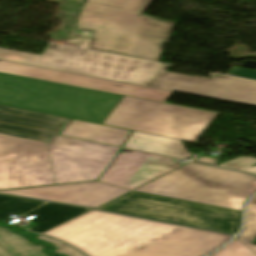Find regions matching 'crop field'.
<instances>
[{"mask_svg": "<svg viewBox=\"0 0 256 256\" xmlns=\"http://www.w3.org/2000/svg\"><path fill=\"white\" fill-rule=\"evenodd\" d=\"M44 235L88 256H203L232 237L96 210Z\"/></svg>", "mask_w": 256, "mask_h": 256, "instance_id": "8a807250", "label": "crop field"}, {"mask_svg": "<svg viewBox=\"0 0 256 256\" xmlns=\"http://www.w3.org/2000/svg\"><path fill=\"white\" fill-rule=\"evenodd\" d=\"M153 0H88L76 30L93 32L86 48L158 61L173 22L141 15Z\"/></svg>", "mask_w": 256, "mask_h": 256, "instance_id": "ac0d7876", "label": "crop field"}, {"mask_svg": "<svg viewBox=\"0 0 256 256\" xmlns=\"http://www.w3.org/2000/svg\"><path fill=\"white\" fill-rule=\"evenodd\" d=\"M121 95L0 73V104L101 124Z\"/></svg>", "mask_w": 256, "mask_h": 256, "instance_id": "34b2d1b8", "label": "crop field"}, {"mask_svg": "<svg viewBox=\"0 0 256 256\" xmlns=\"http://www.w3.org/2000/svg\"><path fill=\"white\" fill-rule=\"evenodd\" d=\"M134 191L242 210L256 193V177L190 163Z\"/></svg>", "mask_w": 256, "mask_h": 256, "instance_id": "412701ff", "label": "crop field"}, {"mask_svg": "<svg viewBox=\"0 0 256 256\" xmlns=\"http://www.w3.org/2000/svg\"><path fill=\"white\" fill-rule=\"evenodd\" d=\"M0 59L150 88L165 67L164 64L82 49L73 53L47 48L42 56L0 49Z\"/></svg>", "mask_w": 256, "mask_h": 256, "instance_id": "f4fd0767", "label": "crop field"}, {"mask_svg": "<svg viewBox=\"0 0 256 256\" xmlns=\"http://www.w3.org/2000/svg\"><path fill=\"white\" fill-rule=\"evenodd\" d=\"M216 115L123 96L103 124L194 142Z\"/></svg>", "mask_w": 256, "mask_h": 256, "instance_id": "dd49c442", "label": "crop field"}, {"mask_svg": "<svg viewBox=\"0 0 256 256\" xmlns=\"http://www.w3.org/2000/svg\"><path fill=\"white\" fill-rule=\"evenodd\" d=\"M98 209L231 234L237 233L241 219V211L212 207L134 191Z\"/></svg>", "mask_w": 256, "mask_h": 256, "instance_id": "e52e79f7", "label": "crop field"}, {"mask_svg": "<svg viewBox=\"0 0 256 256\" xmlns=\"http://www.w3.org/2000/svg\"><path fill=\"white\" fill-rule=\"evenodd\" d=\"M51 184L47 145L0 135V189Z\"/></svg>", "mask_w": 256, "mask_h": 256, "instance_id": "d8731c3e", "label": "crop field"}, {"mask_svg": "<svg viewBox=\"0 0 256 256\" xmlns=\"http://www.w3.org/2000/svg\"><path fill=\"white\" fill-rule=\"evenodd\" d=\"M48 147L56 184L96 180L119 150L62 136Z\"/></svg>", "mask_w": 256, "mask_h": 256, "instance_id": "5a996713", "label": "crop field"}, {"mask_svg": "<svg viewBox=\"0 0 256 256\" xmlns=\"http://www.w3.org/2000/svg\"><path fill=\"white\" fill-rule=\"evenodd\" d=\"M154 88L256 106V82L233 77L163 72Z\"/></svg>", "mask_w": 256, "mask_h": 256, "instance_id": "3316defc", "label": "crop field"}, {"mask_svg": "<svg viewBox=\"0 0 256 256\" xmlns=\"http://www.w3.org/2000/svg\"><path fill=\"white\" fill-rule=\"evenodd\" d=\"M0 72L162 102H165L171 94L170 91L150 89L134 84L107 81L79 74L1 60Z\"/></svg>", "mask_w": 256, "mask_h": 256, "instance_id": "28ad6ade", "label": "crop field"}, {"mask_svg": "<svg viewBox=\"0 0 256 256\" xmlns=\"http://www.w3.org/2000/svg\"><path fill=\"white\" fill-rule=\"evenodd\" d=\"M173 158L134 151L119 153L113 165L98 182L133 190L181 166Z\"/></svg>", "mask_w": 256, "mask_h": 256, "instance_id": "d1516ede", "label": "crop field"}, {"mask_svg": "<svg viewBox=\"0 0 256 256\" xmlns=\"http://www.w3.org/2000/svg\"><path fill=\"white\" fill-rule=\"evenodd\" d=\"M128 191L97 182H87L63 186L0 191V193L97 208Z\"/></svg>", "mask_w": 256, "mask_h": 256, "instance_id": "22f410ed", "label": "crop field"}, {"mask_svg": "<svg viewBox=\"0 0 256 256\" xmlns=\"http://www.w3.org/2000/svg\"><path fill=\"white\" fill-rule=\"evenodd\" d=\"M69 118L0 105V134L50 143Z\"/></svg>", "mask_w": 256, "mask_h": 256, "instance_id": "cbeb9de0", "label": "crop field"}, {"mask_svg": "<svg viewBox=\"0 0 256 256\" xmlns=\"http://www.w3.org/2000/svg\"><path fill=\"white\" fill-rule=\"evenodd\" d=\"M129 132L114 127L73 120L60 135L121 147Z\"/></svg>", "mask_w": 256, "mask_h": 256, "instance_id": "5142ce71", "label": "crop field"}, {"mask_svg": "<svg viewBox=\"0 0 256 256\" xmlns=\"http://www.w3.org/2000/svg\"><path fill=\"white\" fill-rule=\"evenodd\" d=\"M125 148L142 150L179 159L191 157L180 140L133 131Z\"/></svg>", "mask_w": 256, "mask_h": 256, "instance_id": "d9b57169", "label": "crop field"}, {"mask_svg": "<svg viewBox=\"0 0 256 256\" xmlns=\"http://www.w3.org/2000/svg\"><path fill=\"white\" fill-rule=\"evenodd\" d=\"M86 211H88V209L48 203L25 214L24 216L29 217L33 214L37 215L30 220L37 223L38 225L28 230L36 233H42Z\"/></svg>", "mask_w": 256, "mask_h": 256, "instance_id": "733c2abd", "label": "crop field"}, {"mask_svg": "<svg viewBox=\"0 0 256 256\" xmlns=\"http://www.w3.org/2000/svg\"><path fill=\"white\" fill-rule=\"evenodd\" d=\"M0 245L12 256H46L42 246L30 244L22 237L0 227Z\"/></svg>", "mask_w": 256, "mask_h": 256, "instance_id": "4a817a6b", "label": "crop field"}, {"mask_svg": "<svg viewBox=\"0 0 256 256\" xmlns=\"http://www.w3.org/2000/svg\"><path fill=\"white\" fill-rule=\"evenodd\" d=\"M45 202L0 195V221L6 223L10 215H20Z\"/></svg>", "mask_w": 256, "mask_h": 256, "instance_id": "bc2a9ffb", "label": "crop field"}, {"mask_svg": "<svg viewBox=\"0 0 256 256\" xmlns=\"http://www.w3.org/2000/svg\"><path fill=\"white\" fill-rule=\"evenodd\" d=\"M239 236L250 242L256 238V197L248 205L245 228Z\"/></svg>", "mask_w": 256, "mask_h": 256, "instance_id": "214f88e0", "label": "crop field"}, {"mask_svg": "<svg viewBox=\"0 0 256 256\" xmlns=\"http://www.w3.org/2000/svg\"><path fill=\"white\" fill-rule=\"evenodd\" d=\"M221 167H228L232 169L242 170L244 172L252 173L256 171V159L251 157L239 156L221 165Z\"/></svg>", "mask_w": 256, "mask_h": 256, "instance_id": "92a150f3", "label": "crop field"}, {"mask_svg": "<svg viewBox=\"0 0 256 256\" xmlns=\"http://www.w3.org/2000/svg\"><path fill=\"white\" fill-rule=\"evenodd\" d=\"M211 256H256L236 239Z\"/></svg>", "mask_w": 256, "mask_h": 256, "instance_id": "dafd665d", "label": "crop field"}, {"mask_svg": "<svg viewBox=\"0 0 256 256\" xmlns=\"http://www.w3.org/2000/svg\"><path fill=\"white\" fill-rule=\"evenodd\" d=\"M38 239L44 240L46 242H50L52 243L55 247H57L58 249L55 251L58 254H63L66 256H84L83 254L79 253L78 251H76L75 249L60 243L56 240L50 239V238H46L43 237L41 235L37 236Z\"/></svg>", "mask_w": 256, "mask_h": 256, "instance_id": "00972430", "label": "crop field"}, {"mask_svg": "<svg viewBox=\"0 0 256 256\" xmlns=\"http://www.w3.org/2000/svg\"><path fill=\"white\" fill-rule=\"evenodd\" d=\"M228 74L256 80V70L234 67Z\"/></svg>", "mask_w": 256, "mask_h": 256, "instance_id": "a9b5d70f", "label": "crop field"}, {"mask_svg": "<svg viewBox=\"0 0 256 256\" xmlns=\"http://www.w3.org/2000/svg\"><path fill=\"white\" fill-rule=\"evenodd\" d=\"M50 48H56V49H62V50H67V51H73L76 52L78 49L77 48H71V47H66V46H60L56 44H51L49 46Z\"/></svg>", "mask_w": 256, "mask_h": 256, "instance_id": "4177f3b9", "label": "crop field"}, {"mask_svg": "<svg viewBox=\"0 0 256 256\" xmlns=\"http://www.w3.org/2000/svg\"><path fill=\"white\" fill-rule=\"evenodd\" d=\"M237 240H239L241 243H243L245 246H247L250 250H252L254 253H256V246L251 245L247 242H245L244 240L240 239L239 237L236 238Z\"/></svg>", "mask_w": 256, "mask_h": 256, "instance_id": "730fd06b", "label": "crop field"}, {"mask_svg": "<svg viewBox=\"0 0 256 256\" xmlns=\"http://www.w3.org/2000/svg\"><path fill=\"white\" fill-rule=\"evenodd\" d=\"M198 162H204V163H210V164H214L215 160L214 159H210V158H205V157H202L198 160H196Z\"/></svg>", "mask_w": 256, "mask_h": 256, "instance_id": "eef30255", "label": "crop field"}, {"mask_svg": "<svg viewBox=\"0 0 256 256\" xmlns=\"http://www.w3.org/2000/svg\"><path fill=\"white\" fill-rule=\"evenodd\" d=\"M0 256H8V255L0 248Z\"/></svg>", "mask_w": 256, "mask_h": 256, "instance_id": "ae1a2a85", "label": "crop field"}, {"mask_svg": "<svg viewBox=\"0 0 256 256\" xmlns=\"http://www.w3.org/2000/svg\"><path fill=\"white\" fill-rule=\"evenodd\" d=\"M253 175H256V172L252 173Z\"/></svg>", "mask_w": 256, "mask_h": 256, "instance_id": "d3111659", "label": "crop field"}]
</instances>
